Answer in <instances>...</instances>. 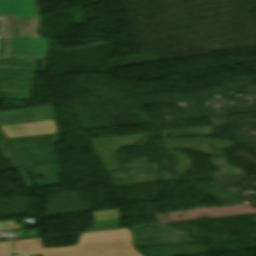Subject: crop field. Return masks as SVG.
Masks as SVG:
<instances>
[{
	"instance_id": "obj_1",
	"label": "crop field",
	"mask_w": 256,
	"mask_h": 256,
	"mask_svg": "<svg viewBox=\"0 0 256 256\" xmlns=\"http://www.w3.org/2000/svg\"><path fill=\"white\" fill-rule=\"evenodd\" d=\"M14 253L42 256H142L132 244L129 229L81 234L78 245L68 248H43L40 238L16 240Z\"/></svg>"
},
{
	"instance_id": "obj_9",
	"label": "crop field",
	"mask_w": 256,
	"mask_h": 256,
	"mask_svg": "<svg viewBox=\"0 0 256 256\" xmlns=\"http://www.w3.org/2000/svg\"><path fill=\"white\" fill-rule=\"evenodd\" d=\"M6 226H8L11 230L17 229L16 225L13 223V221L5 222Z\"/></svg>"
},
{
	"instance_id": "obj_7",
	"label": "crop field",
	"mask_w": 256,
	"mask_h": 256,
	"mask_svg": "<svg viewBox=\"0 0 256 256\" xmlns=\"http://www.w3.org/2000/svg\"><path fill=\"white\" fill-rule=\"evenodd\" d=\"M3 159H8L12 168H18L23 179L24 182L26 184V187L29 188L31 187V182L26 174V172H24V168L28 166L23 153L21 151V149H14V150H4V151H0ZM30 174H32V171L30 170V168L28 169V171Z\"/></svg>"
},
{
	"instance_id": "obj_4",
	"label": "crop field",
	"mask_w": 256,
	"mask_h": 256,
	"mask_svg": "<svg viewBox=\"0 0 256 256\" xmlns=\"http://www.w3.org/2000/svg\"><path fill=\"white\" fill-rule=\"evenodd\" d=\"M4 22V55L6 56L7 37H40L36 35L38 15L15 20L14 14L0 17Z\"/></svg>"
},
{
	"instance_id": "obj_2",
	"label": "crop field",
	"mask_w": 256,
	"mask_h": 256,
	"mask_svg": "<svg viewBox=\"0 0 256 256\" xmlns=\"http://www.w3.org/2000/svg\"><path fill=\"white\" fill-rule=\"evenodd\" d=\"M21 149L35 174V178L36 176H43L36 178L39 183L38 186L59 184L56 175L60 172L56 166L54 144ZM39 179H43V181H39Z\"/></svg>"
},
{
	"instance_id": "obj_6",
	"label": "crop field",
	"mask_w": 256,
	"mask_h": 256,
	"mask_svg": "<svg viewBox=\"0 0 256 256\" xmlns=\"http://www.w3.org/2000/svg\"><path fill=\"white\" fill-rule=\"evenodd\" d=\"M15 13L16 18L37 14L33 0H0V16Z\"/></svg>"
},
{
	"instance_id": "obj_5",
	"label": "crop field",
	"mask_w": 256,
	"mask_h": 256,
	"mask_svg": "<svg viewBox=\"0 0 256 256\" xmlns=\"http://www.w3.org/2000/svg\"><path fill=\"white\" fill-rule=\"evenodd\" d=\"M0 128L6 139L57 133L55 120L3 125Z\"/></svg>"
},
{
	"instance_id": "obj_10",
	"label": "crop field",
	"mask_w": 256,
	"mask_h": 256,
	"mask_svg": "<svg viewBox=\"0 0 256 256\" xmlns=\"http://www.w3.org/2000/svg\"><path fill=\"white\" fill-rule=\"evenodd\" d=\"M8 230L0 223V231Z\"/></svg>"
},
{
	"instance_id": "obj_3",
	"label": "crop field",
	"mask_w": 256,
	"mask_h": 256,
	"mask_svg": "<svg viewBox=\"0 0 256 256\" xmlns=\"http://www.w3.org/2000/svg\"><path fill=\"white\" fill-rule=\"evenodd\" d=\"M8 57L44 59L48 42L43 38H8Z\"/></svg>"
},
{
	"instance_id": "obj_8",
	"label": "crop field",
	"mask_w": 256,
	"mask_h": 256,
	"mask_svg": "<svg viewBox=\"0 0 256 256\" xmlns=\"http://www.w3.org/2000/svg\"><path fill=\"white\" fill-rule=\"evenodd\" d=\"M94 221L119 218L117 210L92 212Z\"/></svg>"
}]
</instances>
